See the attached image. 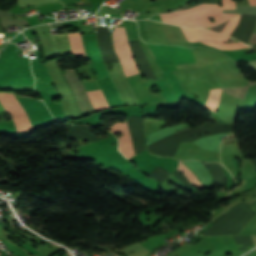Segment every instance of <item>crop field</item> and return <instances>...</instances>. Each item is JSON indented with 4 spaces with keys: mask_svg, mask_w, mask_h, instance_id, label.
Returning a JSON list of instances; mask_svg holds the SVG:
<instances>
[{
    "mask_svg": "<svg viewBox=\"0 0 256 256\" xmlns=\"http://www.w3.org/2000/svg\"><path fill=\"white\" fill-rule=\"evenodd\" d=\"M111 129L112 130L110 132H112L114 134L121 133V135H122L119 138V150L122 152V154L128 158L133 156L134 153H133L126 121L122 122V123H119V122L115 123L111 127Z\"/></svg>",
    "mask_w": 256,
    "mask_h": 256,
    "instance_id": "crop-field-6",
    "label": "crop field"
},
{
    "mask_svg": "<svg viewBox=\"0 0 256 256\" xmlns=\"http://www.w3.org/2000/svg\"><path fill=\"white\" fill-rule=\"evenodd\" d=\"M201 43L210 45L218 49H240V48L249 47L241 43H232V44H224V42H201Z\"/></svg>",
    "mask_w": 256,
    "mask_h": 256,
    "instance_id": "crop-field-14",
    "label": "crop field"
},
{
    "mask_svg": "<svg viewBox=\"0 0 256 256\" xmlns=\"http://www.w3.org/2000/svg\"><path fill=\"white\" fill-rule=\"evenodd\" d=\"M241 108L255 109L256 108V91L248 88Z\"/></svg>",
    "mask_w": 256,
    "mask_h": 256,
    "instance_id": "crop-field-11",
    "label": "crop field"
},
{
    "mask_svg": "<svg viewBox=\"0 0 256 256\" xmlns=\"http://www.w3.org/2000/svg\"><path fill=\"white\" fill-rule=\"evenodd\" d=\"M113 41L115 50L121 60L123 71L126 76L139 73V70L135 64L132 56L124 28H116L113 31Z\"/></svg>",
    "mask_w": 256,
    "mask_h": 256,
    "instance_id": "crop-field-2",
    "label": "crop field"
},
{
    "mask_svg": "<svg viewBox=\"0 0 256 256\" xmlns=\"http://www.w3.org/2000/svg\"><path fill=\"white\" fill-rule=\"evenodd\" d=\"M58 0H18V4L21 7V9L34 4V6L42 5L50 2H54Z\"/></svg>",
    "mask_w": 256,
    "mask_h": 256,
    "instance_id": "crop-field-18",
    "label": "crop field"
},
{
    "mask_svg": "<svg viewBox=\"0 0 256 256\" xmlns=\"http://www.w3.org/2000/svg\"><path fill=\"white\" fill-rule=\"evenodd\" d=\"M155 61L159 65V67L162 69L163 73H172L171 71L177 69L172 59H162V60H155Z\"/></svg>",
    "mask_w": 256,
    "mask_h": 256,
    "instance_id": "crop-field-16",
    "label": "crop field"
},
{
    "mask_svg": "<svg viewBox=\"0 0 256 256\" xmlns=\"http://www.w3.org/2000/svg\"><path fill=\"white\" fill-rule=\"evenodd\" d=\"M222 9L218 6V4L211 5V4H202L190 9L174 11L168 14H160L162 21L165 23L176 24V25H183L203 19H207L213 17L215 15L221 14ZM236 14H221L216 17H213L215 22L211 23L209 19L187 24L184 26H198V27H205L216 25L225 21L226 19L234 16Z\"/></svg>",
    "mask_w": 256,
    "mask_h": 256,
    "instance_id": "crop-field-1",
    "label": "crop field"
},
{
    "mask_svg": "<svg viewBox=\"0 0 256 256\" xmlns=\"http://www.w3.org/2000/svg\"><path fill=\"white\" fill-rule=\"evenodd\" d=\"M53 37H54L59 55L71 52L67 34L53 35Z\"/></svg>",
    "mask_w": 256,
    "mask_h": 256,
    "instance_id": "crop-field-9",
    "label": "crop field"
},
{
    "mask_svg": "<svg viewBox=\"0 0 256 256\" xmlns=\"http://www.w3.org/2000/svg\"><path fill=\"white\" fill-rule=\"evenodd\" d=\"M177 169L181 170L195 187L202 186L201 183L197 180L196 176L193 175L183 163L179 162V167Z\"/></svg>",
    "mask_w": 256,
    "mask_h": 256,
    "instance_id": "crop-field-17",
    "label": "crop field"
},
{
    "mask_svg": "<svg viewBox=\"0 0 256 256\" xmlns=\"http://www.w3.org/2000/svg\"><path fill=\"white\" fill-rule=\"evenodd\" d=\"M165 77L169 80L173 89L175 90L176 94L178 95V97L180 99L189 96L188 94H186L183 91L181 85L179 84V82L177 81V79L175 78V76L173 74H165Z\"/></svg>",
    "mask_w": 256,
    "mask_h": 256,
    "instance_id": "crop-field-12",
    "label": "crop field"
},
{
    "mask_svg": "<svg viewBox=\"0 0 256 256\" xmlns=\"http://www.w3.org/2000/svg\"><path fill=\"white\" fill-rule=\"evenodd\" d=\"M164 125H166L165 121H158L154 119L144 118V130H145L146 137L152 132L160 129Z\"/></svg>",
    "mask_w": 256,
    "mask_h": 256,
    "instance_id": "crop-field-10",
    "label": "crop field"
},
{
    "mask_svg": "<svg viewBox=\"0 0 256 256\" xmlns=\"http://www.w3.org/2000/svg\"><path fill=\"white\" fill-rule=\"evenodd\" d=\"M239 16L240 15L234 16L233 18L223 22L219 32L230 35L232 28L238 24Z\"/></svg>",
    "mask_w": 256,
    "mask_h": 256,
    "instance_id": "crop-field-15",
    "label": "crop field"
},
{
    "mask_svg": "<svg viewBox=\"0 0 256 256\" xmlns=\"http://www.w3.org/2000/svg\"><path fill=\"white\" fill-rule=\"evenodd\" d=\"M87 42H88V46H89L92 58L94 60L98 75H99V78L101 79V78L107 76L108 73L104 66L99 49L97 47V43H96V41H87Z\"/></svg>",
    "mask_w": 256,
    "mask_h": 256,
    "instance_id": "crop-field-7",
    "label": "crop field"
},
{
    "mask_svg": "<svg viewBox=\"0 0 256 256\" xmlns=\"http://www.w3.org/2000/svg\"><path fill=\"white\" fill-rule=\"evenodd\" d=\"M187 41L197 42V41H224L227 42L228 36L203 29V28H188L181 27Z\"/></svg>",
    "mask_w": 256,
    "mask_h": 256,
    "instance_id": "crop-field-5",
    "label": "crop field"
},
{
    "mask_svg": "<svg viewBox=\"0 0 256 256\" xmlns=\"http://www.w3.org/2000/svg\"><path fill=\"white\" fill-rule=\"evenodd\" d=\"M0 102L4 106L7 113L11 116L18 131L31 130L25 113L18 105L19 103L17 104L12 94L0 93ZM1 103H0V115L3 116V115H6L7 113L4 110Z\"/></svg>",
    "mask_w": 256,
    "mask_h": 256,
    "instance_id": "crop-field-3",
    "label": "crop field"
},
{
    "mask_svg": "<svg viewBox=\"0 0 256 256\" xmlns=\"http://www.w3.org/2000/svg\"><path fill=\"white\" fill-rule=\"evenodd\" d=\"M82 1H83V3H89L88 0H82ZM77 4H81V3H77Z\"/></svg>",
    "mask_w": 256,
    "mask_h": 256,
    "instance_id": "crop-field-21",
    "label": "crop field"
},
{
    "mask_svg": "<svg viewBox=\"0 0 256 256\" xmlns=\"http://www.w3.org/2000/svg\"><path fill=\"white\" fill-rule=\"evenodd\" d=\"M223 3V10H230V9H236L235 7V4H234V1H231V0H222Z\"/></svg>",
    "mask_w": 256,
    "mask_h": 256,
    "instance_id": "crop-field-19",
    "label": "crop field"
},
{
    "mask_svg": "<svg viewBox=\"0 0 256 256\" xmlns=\"http://www.w3.org/2000/svg\"><path fill=\"white\" fill-rule=\"evenodd\" d=\"M155 59L172 58L174 63H191L195 62L191 50L184 47L168 46V45H149Z\"/></svg>",
    "mask_w": 256,
    "mask_h": 256,
    "instance_id": "crop-field-4",
    "label": "crop field"
},
{
    "mask_svg": "<svg viewBox=\"0 0 256 256\" xmlns=\"http://www.w3.org/2000/svg\"><path fill=\"white\" fill-rule=\"evenodd\" d=\"M71 49L74 55L85 56V51L80 33L69 34Z\"/></svg>",
    "mask_w": 256,
    "mask_h": 256,
    "instance_id": "crop-field-8",
    "label": "crop field"
},
{
    "mask_svg": "<svg viewBox=\"0 0 256 256\" xmlns=\"http://www.w3.org/2000/svg\"><path fill=\"white\" fill-rule=\"evenodd\" d=\"M221 89H214L210 91L207 105L210 109H212L214 112H216L217 105L220 98Z\"/></svg>",
    "mask_w": 256,
    "mask_h": 256,
    "instance_id": "crop-field-13",
    "label": "crop field"
},
{
    "mask_svg": "<svg viewBox=\"0 0 256 256\" xmlns=\"http://www.w3.org/2000/svg\"><path fill=\"white\" fill-rule=\"evenodd\" d=\"M249 5H256V0H248Z\"/></svg>",
    "mask_w": 256,
    "mask_h": 256,
    "instance_id": "crop-field-20",
    "label": "crop field"
}]
</instances>
